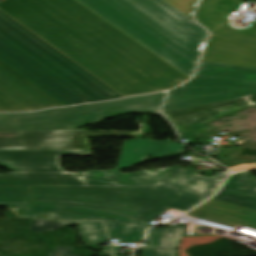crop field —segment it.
Returning a JSON list of instances; mask_svg holds the SVG:
<instances>
[{"label": "crop field", "mask_w": 256, "mask_h": 256, "mask_svg": "<svg viewBox=\"0 0 256 256\" xmlns=\"http://www.w3.org/2000/svg\"><path fill=\"white\" fill-rule=\"evenodd\" d=\"M251 105H256V94L177 111H163V114L177 129L190 131L214 118L234 113Z\"/></svg>", "instance_id": "d1516ede"}, {"label": "crop field", "mask_w": 256, "mask_h": 256, "mask_svg": "<svg viewBox=\"0 0 256 256\" xmlns=\"http://www.w3.org/2000/svg\"><path fill=\"white\" fill-rule=\"evenodd\" d=\"M230 174L229 171L216 173L211 179L196 172L173 167L162 170L140 171L121 174L120 170L79 173L86 186H146L167 184L182 195L170 208L188 211L216 193Z\"/></svg>", "instance_id": "dd49c442"}, {"label": "crop field", "mask_w": 256, "mask_h": 256, "mask_svg": "<svg viewBox=\"0 0 256 256\" xmlns=\"http://www.w3.org/2000/svg\"><path fill=\"white\" fill-rule=\"evenodd\" d=\"M0 150H24V149H8V148H0Z\"/></svg>", "instance_id": "bd1437ed"}, {"label": "crop field", "mask_w": 256, "mask_h": 256, "mask_svg": "<svg viewBox=\"0 0 256 256\" xmlns=\"http://www.w3.org/2000/svg\"><path fill=\"white\" fill-rule=\"evenodd\" d=\"M245 6L246 4L239 0H228L226 4V10L228 14H231L238 9L245 8Z\"/></svg>", "instance_id": "730fd06b"}, {"label": "crop field", "mask_w": 256, "mask_h": 256, "mask_svg": "<svg viewBox=\"0 0 256 256\" xmlns=\"http://www.w3.org/2000/svg\"><path fill=\"white\" fill-rule=\"evenodd\" d=\"M0 185L85 186L78 173H6L0 175Z\"/></svg>", "instance_id": "4a817a6b"}, {"label": "crop field", "mask_w": 256, "mask_h": 256, "mask_svg": "<svg viewBox=\"0 0 256 256\" xmlns=\"http://www.w3.org/2000/svg\"><path fill=\"white\" fill-rule=\"evenodd\" d=\"M256 27V23L255 22H252V21H249V26L244 28V29H253Z\"/></svg>", "instance_id": "750c4746"}, {"label": "crop field", "mask_w": 256, "mask_h": 256, "mask_svg": "<svg viewBox=\"0 0 256 256\" xmlns=\"http://www.w3.org/2000/svg\"><path fill=\"white\" fill-rule=\"evenodd\" d=\"M148 141L130 140L124 141L123 148L131 149L132 152L137 151L145 146Z\"/></svg>", "instance_id": "4177f3b9"}, {"label": "crop field", "mask_w": 256, "mask_h": 256, "mask_svg": "<svg viewBox=\"0 0 256 256\" xmlns=\"http://www.w3.org/2000/svg\"><path fill=\"white\" fill-rule=\"evenodd\" d=\"M103 251L106 252V253H108L109 256H115V253H114V250H113V247H112V246H111V247H105V248H103Z\"/></svg>", "instance_id": "ae1a2a85"}, {"label": "crop field", "mask_w": 256, "mask_h": 256, "mask_svg": "<svg viewBox=\"0 0 256 256\" xmlns=\"http://www.w3.org/2000/svg\"><path fill=\"white\" fill-rule=\"evenodd\" d=\"M59 156H92L91 150L0 151V166L11 172H65Z\"/></svg>", "instance_id": "28ad6ade"}, {"label": "crop field", "mask_w": 256, "mask_h": 256, "mask_svg": "<svg viewBox=\"0 0 256 256\" xmlns=\"http://www.w3.org/2000/svg\"><path fill=\"white\" fill-rule=\"evenodd\" d=\"M182 229L183 227L166 229L152 228L148 233L145 248L179 249Z\"/></svg>", "instance_id": "214f88e0"}, {"label": "crop field", "mask_w": 256, "mask_h": 256, "mask_svg": "<svg viewBox=\"0 0 256 256\" xmlns=\"http://www.w3.org/2000/svg\"><path fill=\"white\" fill-rule=\"evenodd\" d=\"M192 18V14L199 0H164ZM187 16V17H188ZM193 19V18H192Z\"/></svg>", "instance_id": "00972430"}, {"label": "crop field", "mask_w": 256, "mask_h": 256, "mask_svg": "<svg viewBox=\"0 0 256 256\" xmlns=\"http://www.w3.org/2000/svg\"><path fill=\"white\" fill-rule=\"evenodd\" d=\"M202 60L256 68V48L212 35Z\"/></svg>", "instance_id": "5142ce71"}, {"label": "crop field", "mask_w": 256, "mask_h": 256, "mask_svg": "<svg viewBox=\"0 0 256 256\" xmlns=\"http://www.w3.org/2000/svg\"><path fill=\"white\" fill-rule=\"evenodd\" d=\"M72 252V247H56V251L50 256H77Z\"/></svg>", "instance_id": "eef30255"}, {"label": "crop field", "mask_w": 256, "mask_h": 256, "mask_svg": "<svg viewBox=\"0 0 256 256\" xmlns=\"http://www.w3.org/2000/svg\"><path fill=\"white\" fill-rule=\"evenodd\" d=\"M128 156H121L117 168H123Z\"/></svg>", "instance_id": "d3111659"}, {"label": "crop field", "mask_w": 256, "mask_h": 256, "mask_svg": "<svg viewBox=\"0 0 256 256\" xmlns=\"http://www.w3.org/2000/svg\"><path fill=\"white\" fill-rule=\"evenodd\" d=\"M191 78L205 29L163 0H77Z\"/></svg>", "instance_id": "ac0d7876"}, {"label": "crop field", "mask_w": 256, "mask_h": 256, "mask_svg": "<svg viewBox=\"0 0 256 256\" xmlns=\"http://www.w3.org/2000/svg\"><path fill=\"white\" fill-rule=\"evenodd\" d=\"M0 9L124 97L189 79L75 0H5Z\"/></svg>", "instance_id": "8a807250"}, {"label": "crop field", "mask_w": 256, "mask_h": 256, "mask_svg": "<svg viewBox=\"0 0 256 256\" xmlns=\"http://www.w3.org/2000/svg\"><path fill=\"white\" fill-rule=\"evenodd\" d=\"M64 225L54 220H33L28 230L35 231L37 233L54 231Z\"/></svg>", "instance_id": "dafd665d"}, {"label": "crop field", "mask_w": 256, "mask_h": 256, "mask_svg": "<svg viewBox=\"0 0 256 256\" xmlns=\"http://www.w3.org/2000/svg\"><path fill=\"white\" fill-rule=\"evenodd\" d=\"M254 178L255 176L248 172L231 176L213 199L256 211V180Z\"/></svg>", "instance_id": "733c2abd"}, {"label": "crop field", "mask_w": 256, "mask_h": 256, "mask_svg": "<svg viewBox=\"0 0 256 256\" xmlns=\"http://www.w3.org/2000/svg\"><path fill=\"white\" fill-rule=\"evenodd\" d=\"M186 146L181 143H174L169 140H151L138 152L131 153L128 149H123L121 155H129L124 168L132 167L145 161L146 156L165 157L169 152L183 154Z\"/></svg>", "instance_id": "bc2a9ffb"}, {"label": "crop field", "mask_w": 256, "mask_h": 256, "mask_svg": "<svg viewBox=\"0 0 256 256\" xmlns=\"http://www.w3.org/2000/svg\"><path fill=\"white\" fill-rule=\"evenodd\" d=\"M0 41L88 102L122 97L1 10Z\"/></svg>", "instance_id": "412701ff"}, {"label": "crop field", "mask_w": 256, "mask_h": 256, "mask_svg": "<svg viewBox=\"0 0 256 256\" xmlns=\"http://www.w3.org/2000/svg\"><path fill=\"white\" fill-rule=\"evenodd\" d=\"M187 215L231 226L247 225L256 228V212L213 199L207 201Z\"/></svg>", "instance_id": "d9b57169"}, {"label": "crop field", "mask_w": 256, "mask_h": 256, "mask_svg": "<svg viewBox=\"0 0 256 256\" xmlns=\"http://www.w3.org/2000/svg\"><path fill=\"white\" fill-rule=\"evenodd\" d=\"M64 225L70 226L77 223L81 231L83 242L87 244H103L108 241V236L102 222L90 221H58Z\"/></svg>", "instance_id": "92a150f3"}, {"label": "crop field", "mask_w": 256, "mask_h": 256, "mask_svg": "<svg viewBox=\"0 0 256 256\" xmlns=\"http://www.w3.org/2000/svg\"><path fill=\"white\" fill-rule=\"evenodd\" d=\"M0 256H2V255H0Z\"/></svg>", "instance_id": "1d83c4d3"}, {"label": "crop field", "mask_w": 256, "mask_h": 256, "mask_svg": "<svg viewBox=\"0 0 256 256\" xmlns=\"http://www.w3.org/2000/svg\"><path fill=\"white\" fill-rule=\"evenodd\" d=\"M227 0H203L197 11V20L212 34L256 47V28L241 30L227 23Z\"/></svg>", "instance_id": "cbeb9de0"}, {"label": "crop field", "mask_w": 256, "mask_h": 256, "mask_svg": "<svg viewBox=\"0 0 256 256\" xmlns=\"http://www.w3.org/2000/svg\"><path fill=\"white\" fill-rule=\"evenodd\" d=\"M164 96V93H159L111 103L90 104L36 113L0 114V131L75 129L120 114L160 113L159 109Z\"/></svg>", "instance_id": "f4fd0767"}, {"label": "crop field", "mask_w": 256, "mask_h": 256, "mask_svg": "<svg viewBox=\"0 0 256 256\" xmlns=\"http://www.w3.org/2000/svg\"><path fill=\"white\" fill-rule=\"evenodd\" d=\"M0 206H22L28 209L23 218L105 220L111 239L121 242H141L149 225L144 221L101 211L32 201L31 187H0Z\"/></svg>", "instance_id": "d8731c3e"}, {"label": "crop field", "mask_w": 256, "mask_h": 256, "mask_svg": "<svg viewBox=\"0 0 256 256\" xmlns=\"http://www.w3.org/2000/svg\"><path fill=\"white\" fill-rule=\"evenodd\" d=\"M0 59L65 106L86 103L81 97L0 42Z\"/></svg>", "instance_id": "22f410ed"}, {"label": "crop field", "mask_w": 256, "mask_h": 256, "mask_svg": "<svg viewBox=\"0 0 256 256\" xmlns=\"http://www.w3.org/2000/svg\"><path fill=\"white\" fill-rule=\"evenodd\" d=\"M252 93H256V69L202 61L192 81L169 91L163 109L177 110Z\"/></svg>", "instance_id": "e52e79f7"}, {"label": "crop field", "mask_w": 256, "mask_h": 256, "mask_svg": "<svg viewBox=\"0 0 256 256\" xmlns=\"http://www.w3.org/2000/svg\"><path fill=\"white\" fill-rule=\"evenodd\" d=\"M33 200L101 210L149 221L181 195L167 185L146 187H32Z\"/></svg>", "instance_id": "34b2d1b8"}, {"label": "crop field", "mask_w": 256, "mask_h": 256, "mask_svg": "<svg viewBox=\"0 0 256 256\" xmlns=\"http://www.w3.org/2000/svg\"><path fill=\"white\" fill-rule=\"evenodd\" d=\"M34 84L0 60V112L30 111L64 105Z\"/></svg>", "instance_id": "3316defc"}, {"label": "crop field", "mask_w": 256, "mask_h": 256, "mask_svg": "<svg viewBox=\"0 0 256 256\" xmlns=\"http://www.w3.org/2000/svg\"><path fill=\"white\" fill-rule=\"evenodd\" d=\"M139 132L85 130L0 132V147L37 149H91L87 137H138Z\"/></svg>", "instance_id": "5a996713"}, {"label": "crop field", "mask_w": 256, "mask_h": 256, "mask_svg": "<svg viewBox=\"0 0 256 256\" xmlns=\"http://www.w3.org/2000/svg\"><path fill=\"white\" fill-rule=\"evenodd\" d=\"M144 256H178L177 251L171 250H141Z\"/></svg>", "instance_id": "a9b5d70f"}]
</instances>
